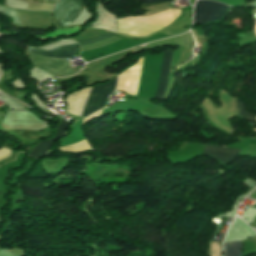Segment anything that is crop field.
<instances>
[{
	"mask_svg": "<svg viewBox=\"0 0 256 256\" xmlns=\"http://www.w3.org/2000/svg\"><path fill=\"white\" fill-rule=\"evenodd\" d=\"M118 32L133 36H146L164 27L117 19Z\"/></svg>",
	"mask_w": 256,
	"mask_h": 256,
	"instance_id": "412701ff",
	"label": "crop field"
},
{
	"mask_svg": "<svg viewBox=\"0 0 256 256\" xmlns=\"http://www.w3.org/2000/svg\"><path fill=\"white\" fill-rule=\"evenodd\" d=\"M228 8V6L218 2L198 0L194 9V23L205 24L209 21L220 20Z\"/></svg>",
	"mask_w": 256,
	"mask_h": 256,
	"instance_id": "8a807250",
	"label": "crop field"
},
{
	"mask_svg": "<svg viewBox=\"0 0 256 256\" xmlns=\"http://www.w3.org/2000/svg\"><path fill=\"white\" fill-rule=\"evenodd\" d=\"M193 32H194V35H195L196 42L199 43L198 38H197V35H196L194 29H193ZM198 37H204V36H198ZM204 40H205V39H200V43H204Z\"/></svg>",
	"mask_w": 256,
	"mask_h": 256,
	"instance_id": "22f410ed",
	"label": "crop field"
},
{
	"mask_svg": "<svg viewBox=\"0 0 256 256\" xmlns=\"http://www.w3.org/2000/svg\"><path fill=\"white\" fill-rule=\"evenodd\" d=\"M162 1H169V0H143V3H155V2H162Z\"/></svg>",
	"mask_w": 256,
	"mask_h": 256,
	"instance_id": "d1516ede",
	"label": "crop field"
},
{
	"mask_svg": "<svg viewBox=\"0 0 256 256\" xmlns=\"http://www.w3.org/2000/svg\"><path fill=\"white\" fill-rule=\"evenodd\" d=\"M240 150L207 145L203 154L228 163Z\"/></svg>",
	"mask_w": 256,
	"mask_h": 256,
	"instance_id": "e52e79f7",
	"label": "crop field"
},
{
	"mask_svg": "<svg viewBox=\"0 0 256 256\" xmlns=\"http://www.w3.org/2000/svg\"><path fill=\"white\" fill-rule=\"evenodd\" d=\"M171 51L164 52L161 60L160 76L155 98H163L168 78Z\"/></svg>",
	"mask_w": 256,
	"mask_h": 256,
	"instance_id": "dd49c442",
	"label": "crop field"
},
{
	"mask_svg": "<svg viewBox=\"0 0 256 256\" xmlns=\"http://www.w3.org/2000/svg\"><path fill=\"white\" fill-rule=\"evenodd\" d=\"M177 45L180 47V51H188L191 52V49H188L189 45H194L192 37L190 33H186L181 36L176 37Z\"/></svg>",
	"mask_w": 256,
	"mask_h": 256,
	"instance_id": "5a996713",
	"label": "crop field"
},
{
	"mask_svg": "<svg viewBox=\"0 0 256 256\" xmlns=\"http://www.w3.org/2000/svg\"><path fill=\"white\" fill-rule=\"evenodd\" d=\"M82 8L81 0H60L52 14L58 26H68Z\"/></svg>",
	"mask_w": 256,
	"mask_h": 256,
	"instance_id": "ac0d7876",
	"label": "crop field"
},
{
	"mask_svg": "<svg viewBox=\"0 0 256 256\" xmlns=\"http://www.w3.org/2000/svg\"><path fill=\"white\" fill-rule=\"evenodd\" d=\"M27 51L53 58H71L78 52L75 44L58 47L49 51L28 47Z\"/></svg>",
	"mask_w": 256,
	"mask_h": 256,
	"instance_id": "f4fd0767",
	"label": "crop field"
},
{
	"mask_svg": "<svg viewBox=\"0 0 256 256\" xmlns=\"http://www.w3.org/2000/svg\"><path fill=\"white\" fill-rule=\"evenodd\" d=\"M116 81L117 77L108 84L93 87L81 116H87L103 108L105 98L115 90Z\"/></svg>",
	"mask_w": 256,
	"mask_h": 256,
	"instance_id": "34b2d1b8",
	"label": "crop field"
},
{
	"mask_svg": "<svg viewBox=\"0 0 256 256\" xmlns=\"http://www.w3.org/2000/svg\"><path fill=\"white\" fill-rule=\"evenodd\" d=\"M236 103H237L238 116H245V117H249L254 120L256 119V115H253V114L247 112L244 104L241 103V100L236 98Z\"/></svg>",
	"mask_w": 256,
	"mask_h": 256,
	"instance_id": "28ad6ade",
	"label": "crop field"
},
{
	"mask_svg": "<svg viewBox=\"0 0 256 256\" xmlns=\"http://www.w3.org/2000/svg\"><path fill=\"white\" fill-rule=\"evenodd\" d=\"M66 125H67V121L65 119H62L59 127L57 128L56 136L53 139H51V140H46V141H43V142L39 143L37 146H35V148L30 152L29 155L33 156V157H36V158H40L43 155H45V153L49 149L50 145L57 138H59L61 135H63L65 133Z\"/></svg>",
	"mask_w": 256,
	"mask_h": 256,
	"instance_id": "d8731c3e",
	"label": "crop field"
},
{
	"mask_svg": "<svg viewBox=\"0 0 256 256\" xmlns=\"http://www.w3.org/2000/svg\"><path fill=\"white\" fill-rule=\"evenodd\" d=\"M113 36H115L114 33L107 32V33H104V34L99 35V36H97L95 38H92V39H88V40H84V41H78V43H79V45L91 44V43H95V42H99V41L108 39V38L113 37Z\"/></svg>",
	"mask_w": 256,
	"mask_h": 256,
	"instance_id": "3316defc",
	"label": "crop field"
}]
</instances>
